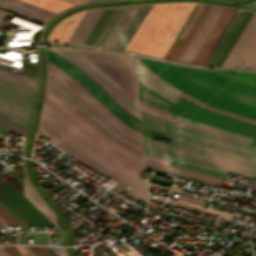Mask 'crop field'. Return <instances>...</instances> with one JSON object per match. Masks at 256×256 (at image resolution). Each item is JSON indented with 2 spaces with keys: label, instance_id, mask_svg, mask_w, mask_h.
<instances>
[{
  "label": "crop field",
  "instance_id": "obj_1",
  "mask_svg": "<svg viewBox=\"0 0 256 256\" xmlns=\"http://www.w3.org/2000/svg\"><path fill=\"white\" fill-rule=\"evenodd\" d=\"M142 112V111H141ZM143 127L159 130L172 135L171 145L143 137L144 152L147 155L164 159H178L230 172L250 178H256V154L236 150L186 135L174 133L171 127L195 132L214 139L250 147L248 144L196 130L166 121L142 112Z\"/></svg>",
  "mask_w": 256,
  "mask_h": 256
},
{
  "label": "crop field",
  "instance_id": "obj_2",
  "mask_svg": "<svg viewBox=\"0 0 256 256\" xmlns=\"http://www.w3.org/2000/svg\"><path fill=\"white\" fill-rule=\"evenodd\" d=\"M140 60L182 93L203 103L256 119L255 88L200 69Z\"/></svg>",
  "mask_w": 256,
  "mask_h": 256
},
{
  "label": "crop field",
  "instance_id": "obj_3",
  "mask_svg": "<svg viewBox=\"0 0 256 256\" xmlns=\"http://www.w3.org/2000/svg\"><path fill=\"white\" fill-rule=\"evenodd\" d=\"M196 3L148 4L135 6L112 48L163 58Z\"/></svg>",
  "mask_w": 256,
  "mask_h": 256
},
{
  "label": "crop field",
  "instance_id": "obj_4",
  "mask_svg": "<svg viewBox=\"0 0 256 256\" xmlns=\"http://www.w3.org/2000/svg\"><path fill=\"white\" fill-rule=\"evenodd\" d=\"M41 116L87 152L140 179L139 172L145 170L143 165L109 149L95 140L46 100L44 101Z\"/></svg>",
  "mask_w": 256,
  "mask_h": 256
},
{
  "label": "crop field",
  "instance_id": "obj_5",
  "mask_svg": "<svg viewBox=\"0 0 256 256\" xmlns=\"http://www.w3.org/2000/svg\"><path fill=\"white\" fill-rule=\"evenodd\" d=\"M106 79L125 99L138 107L137 78L131 58L108 52L68 49Z\"/></svg>",
  "mask_w": 256,
  "mask_h": 256
},
{
  "label": "crop field",
  "instance_id": "obj_6",
  "mask_svg": "<svg viewBox=\"0 0 256 256\" xmlns=\"http://www.w3.org/2000/svg\"><path fill=\"white\" fill-rule=\"evenodd\" d=\"M139 97L173 114L256 139V124L208 111L183 98L174 104L141 83Z\"/></svg>",
  "mask_w": 256,
  "mask_h": 256
},
{
  "label": "crop field",
  "instance_id": "obj_7",
  "mask_svg": "<svg viewBox=\"0 0 256 256\" xmlns=\"http://www.w3.org/2000/svg\"><path fill=\"white\" fill-rule=\"evenodd\" d=\"M115 8H98L87 9L77 12L59 22L56 27L50 33L47 43L63 44L67 43H81L88 45H95L96 41L100 37L104 28L108 24L112 15L116 11Z\"/></svg>",
  "mask_w": 256,
  "mask_h": 256
},
{
  "label": "crop field",
  "instance_id": "obj_8",
  "mask_svg": "<svg viewBox=\"0 0 256 256\" xmlns=\"http://www.w3.org/2000/svg\"><path fill=\"white\" fill-rule=\"evenodd\" d=\"M35 89L0 79V118L26 135Z\"/></svg>",
  "mask_w": 256,
  "mask_h": 256
},
{
  "label": "crop field",
  "instance_id": "obj_9",
  "mask_svg": "<svg viewBox=\"0 0 256 256\" xmlns=\"http://www.w3.org/2000/svg\"><path fill=\"white\" fill-rule=\"evenodd\" d=\"M48 62L59 67L73 77L76 81L82 84L96 99H98L104 106H106L112 113H114L121 121L128 126L139 130L141 120L134 117L125 111L122 107L116 104L112 98L100 88L88 75L82 70L74 66L62 56L48 50ZM107 102L108 104L106 105Z\"/></svg>",
  "mask_w": 256,
  "mask_h": 256
},
{
  "label": "crop field",
  "instance_id": "obj_10",
  "mask_svg": "<svg viewBox=\"0 0 256 256\" xmlns=\"http://www.w3.org/2000/svg\"><path fill=\"white\" fill-rule=\"evenodd\" d=\"M252 14L253 11L238 9L205 64H222Z\"/></svg>",
  "mask_w": 256,
  "mask_h": 256
},
{
  "label": "crop field",
  "instance_id": "obj_11",
  "mask_svg": "<svg viewBox=\"0 0 256 256\" xmlns=\"http://www.w3.org/2000/svg\"><path fill=\"white\" fill-rule=\"evenodd\" d=\"M255 51L256 12H254L222 66L246 67ZM241 62L244 64L242 65Z\"/></svg>",
  "mask_w": 256,
  "mask_h": 256
},
{
  "label": "crop field",
  "instance_id": "obj_12",
  "mask_svg": "<svg viewBox=\"0 0 256 256\" xmlns=\"http://www.w3.org/2000/svg\"><path fill=\"white\" fill-rule=\"evenodd\" d=\"M212 5L198 3L164 59L178 62Z\"/></svg>",
  "mask_w": 256,
  "mask_h": 256
},
{
  "label": "crop field",
  "instance_id": "obj_13",
  "mask_svg": "<svg viewBox=\"0 0 256 256\" xmlns=\"http://www.w3.org/2000/svg\"><path fill=\"white\" fill-rule=\"evenodd\" d=\"M47 83L54 87L57 91L63 94L67 99H69L73 104H75L79 109H81L85 114H87L91 119H93L97 124H99L108 133L119 139L120 141L142 151V145L129 139L112 126H110L106 121H104L99 115H97L91 108H89L84 102H82L76 95H74L65 86L59 83L51 75L48 74ZM92 120V121H93ZM143 152V151H142Z\"/></svg>",
  "mask_w": 256,
  "mask_h": 256
},
{
  "label": "crop field",
  "instance_id": "obj_14",
  "mask_svg": "<svg viewBox=\"0 0 256 256\" xmlns=\"http://www.w3.org/2000/svg\"><path fill=\"white\" fill-rule=\"evenodd\" d=\"M133 63L136 75L138 77L139 82L143 83L150 89L154 90L164 98L176 102L180 96L184 95L178 90L174 89L168 83H166L163 79H161L158 75L152 72L147 66H145L138 58L133 57ZM153 91V92H154ZM186 96V95H184ZM188 97V96H186ZM190 98V97H188ZM192 99V98H190ZM194 100V99H192ZM196 101V100H194ZM198 102V101H196ZM201 103V102H198ZM203 104V103H202Z\"/></svg>",
  "mask_w": 256,
  "mask_h": 256
},
{
  "label": "crop field",
  "instance_id": "obj_15",
  "mask_svg": "<svg viewBox=\"0 0 256 256\" xmlns=\"http://www.w3.org/2000/svg\"><path fill=\"white\" fill-rule=\"evenodd\" d=\"M224 8L225 7L213 5L200 29L196 33L195 37L193 38L192 42L190 43L189 47L181 58V62L191 63L199 48L203 44L204 40L208 36L209 32L213 28L214 24L218 20L219 16L223 12ZM204 35L206 36L204 37Z\"/></svg>",
  "mask_w": 256,
  "mask_h": 256
},
{
  "label": "crop field",
  "instance_id": "obj_16",
  "mask_svg": "<svg viewBox=\"0 0 256 256\" xmlns=\"http://www.w3.org/2000/svg\"><path fill=\"white\" fill-rule=\"evenodd\" d=\"M235 11L236 9L225 8L224 12L222 13L216 25L212 29L205 43L203 44L197 56L193 60L192 65H202L210 50L212 49L217 39L221 35L222 32L220 29L224 30V28L228 24L229 20L231 19Z\"/></svg>",
  "mask_w": 256,
  "mask_h": 256
},
{
  "label": "crop field",
  "instance_id": "obj_17",
  "mask_svg": "<svg viewBox=\"0 0 256 256\" xmlns=\"http://www.w3.org/2000/svg\"><path fill=\"white\" fill-rule=\"evenodd\" d=\"M48 68L56 72L58 75L66 79L71 85H73L82 95H84L92 104H94L100 111H102L108 118H110L113 122L127 130L132 135L136 136L137 138L141 139V134L138 131H135L122 123L114 114H112L107 108H105L99 101H97L83 86H81L78 82H76L73 78H71L68 74L64 71L60 70L59 68L53 66L52 64L48 63ZM120 127V128H121ZM123 129V130H124Z\"/></svg>",
  "mask_w": 256,
  "mask_h": 256
},
{
  "label": "crop field",
  "instance_id": "obj_18",
  "mask_svg": "<svg viewBox=\"0 0 256 256\" xmlns=\"http://www.w3.org/2000/svg\"><path fill=\"white\" fill-rule=\"evenodd\" d=\"M24 197L30 201L42 214H44L62 233L63 230L58 226V219L42 198L37 194L31 184L28 182L26 175L22 180Z\"/></svg>",
  "mask_w": 256,
  "mask_h": 256
},
{
  "label": "crop field",
  "instance_id": "obj_19",
  "mask_svg": "<svg viewBox=\"0 0 256 256\" xmlns=\"http://www.w3.org/2000/svg\"><path fill=\"white\" fill-rule=\"evenodd\" d=\"M62 56H64L66 59L71 61L73 64H75L77 67L83 69L99 86H101L116 102H118L119 105H121L124 109H126L128 112L131 114L135 115L138 117V113L135 109H133L131 106H129L126 102H124L117 94H115L107 85H105L100 79H98L90 70L85 68L82 64H80L77 60L74 58L70 57L66 53H64L62 50L59 48H49Z\"/></svg>",
  "mask_w": 256,
  "mask_h": 256
},
{
  "label": "crop field",
  "instance_id": "obj_20",
  "mask_svg": "<svg viewBox=\"0 0 256 256\" xmlns=\"http://www.w3.org/2000/svg\"><path fill=\"white\" fill-rule=\"evenodd\" d=\"M146 164L150 165L152 167H156V168H160V169H164V170L173 172V173L178 174V175L193 178V179H196V180H200V181L211 183V184L218 185V186H220V184L222 182V179H218V178L206 176V175H203V174L191 172V171H188V170H184V169H180V168H176V167L156 163V162H153V161H150V160H147V159H146Z\"/></svg>",
  "mask_w": 256,
  "mask_h": 256
},
{
  "label": "crop field",
  "instance_id": "obj_21",
  "mask_svg": "<svg viewBox=\"0 0 256 256\" xmlns=\"http://www.w3.org/2000/svg\"><path fill=\"white\" fill-rule=\"evenodd\" d=\"M46 89L49 90L51 93H53L56 97H58L61 101H63L66 105H68L72 110H74L77 114H79L82 118H84L88 123H90L93 127H95L97 130H99L101 133H103L105 136L116 142L117 144L132 150L140 155L143 156V153L123 144L110 134H108L106 131H104L100 126H98L94 121H92L87 115H85L81 110H79L75 105H73L69 100H67L63 95H61L59 92H57L54 88H52L50 85L47 84Z\"/></svg>",
  "mask_w": 256,
  "mask_h": 256
},
{
  "label": "crop field",
  "instance_id": "obj_22",
  "mask_svg": "<svg viewBox=\"0 0 256 256\" xmlns=\"http://www.w3.org/2000/svg\"><path fill=\"white\" fill-rule=\"evenodd\" d=\"M128 7H118L117 11L113 15L112 19L110 20L109 24L105 28L104 32L102 33L101 37L97 41L96 45L106 46L107 42L109 41L110 37L114 33L115 29L117 28L118 24L120 23L121 19L125 15Z\"/></svg>",
  "mask_w": 256,
  "mask_h": 256
},
{
  "label": "crop field",
  "instance_id": "obj_23",
  "mask_svg": "<svg viewBox=\"0 0 256 256\" xmlns=\"http://www.w3.org/2000/svg\"><path fill=\"white\" fill-rule=\"evenodd\" d=\"M0 7L11 12L17 13L19 15L25 16L27 18L33 19L35 21L41 22L43 24H45L46 21L50 18L48 16L42 15L40 13L34 12L32 10L26 9L24 7L18 6L5 0H0Z\"/></svg>",
  "mask_w": 256,
  "mask_h": 256
},
{
  "label": "crop field",
  "instance_id": "obj_24",
  "mask_svg": "<svg viewBox=\"0 0 256 256\" xmlns=\"http://www.w3.org/2000/svg\"><path fill=\"white\" fill-rule=\"evenodd\" d=\"M40 122L43 123L47 128H49V129H50L52 132H54L56 135H59V136H60L62 139H64L66 142H68L69 144H71L72 146H74L76 149H78L79 151H81L82 153H84L86 156H88L89 158L93 159L94 161H96V162H98V163H100V164H102V165H104V166H106V167H108V168H110V169H112V170H114V171H116V172H118V173H120V174H122V175H124V176H126V177H128V178H130V179H132V180H134V181H136V182H139V183L144 184V185L147 186V182H146V181H142V180L136 179V178H134V177H132V176H130V175H128V174H126V173H124V172H122V171H120V170H118V169H116V168H114V167H112V166L106 164L105 162H103V161H101L100 159H98V158L92 156L91 154L87 153V152L84 151L82 148H80L78 145H76L75 143H73L72 141H70L69 139H67L64 135H62V134H61L60 132H58L56 129H54V128H53L48 122H46L42 117L40 118Z\"/></svg>",
  "mask_w": 256,
  "mask_h": 256
},
{
  "label": "crop field",
  "instance_id": "obj_25",
  "mask_svg": "<svg viewBox=\"0 0 256 256\" xmlns=\"http://www.w3.org/2000/svg\"><path fill=\"white\" fill-rule=\"evenodd\" d=\"M29 2L31 4L37 5L39 7L45 8L47 10L53 11L55 13L66 9L70 6H74L72 4L66 3L61 0H23Z\"/></svg>",
  "mask_w": 256,
  "mask_h": 256
},
{
  "label": "crop field",
  "instance_id": "obj_26",
  "mask_svg": "<svg viewBox=\"0 0 256 256\" xmlns=\"http://www.w3.org/2000/svg\"><path fill=\"white\" fill-rule=\"evenodd\" d=\"M214 71L222 73L229 77L256 85V73L254 72L240 71L238 74H236L237 71H217V70H214Z\"/></svg>",
  "mask_w": 256,
  "mask_h": 256
},
{
  "label": "crop field",
  "instance_id": "obj_27",
  "mask_svg": "<svg viewBox=\"0 0 256 256\" xmlns=\"http://www.w3.org/2000/svg\"><path fill=\"white\" fill-rule=\"evenodd\" d=\"M173 131L178 132V133H182V134H186V135H190V136H194V137H197V138H201V139H204V140H207V141H211V142H214V143L222 144V145H225V146L233 147V148H236V149H240V150L256 153L255 150H251V149L240 147V146H237V145H234V144H230V143L214 140V139H211V138H208V137H204V136H201V135H198V134H195V133L186 132V131H180V130H174V129H173Z\"/></svg>",
  "mask_w": 256,
  "mask_h": 256
},
{
  "label": "crop field",
  "instance_id": "obj_28",
  "mask_svg": "<svg viewBox=\"0 0 256 256\" xmlns=\"http://www.w3.org/2000/svg\"><path fill=\"white\" fill-rule=\"evenodd\" d=\"M171 117H172V118L179 119V120H182V121H186V122H189V123H192V124H196V125H199V126H202V127H206V128L212 129V130H216V131H219V132H222V133H226V134H229V135H232V136H236V137H239V138H242V139H246V140L252 141V138H248V137L241 136V135H238V134H235V133H231V132H228V131H224V130H221V129H217V128H214V127H211V126H207V125H204V124H200V123L191 121V120H189V119H186V118H183V117H180V116H177V115H173V114H172Z\"/></svg>",
  "mask_w": 256,
  "mask_h": 256
},
{
  "label": "crop field",
  "instance_id": "obj_29",
  "mask_svg": "<svg viewBox=\"0 0 256 256\" xmlns=\"http://www.w3.org/2000/svg\"><path fill=\"white\" fill-rule=\"evenodd\" d=\"M167 203L172 204V205H176V206H180V207H184V208H188V209H192V210H195V211L203 212V213H206V214L214 215V216L219 215V216H223V217L230 218V219L232 217L230 215L200 209V208H197V207H193V206H190V205L182 204V203L171 201V200H168Z\"/></svg>",
  "mask_w": 256,
  "mask_h": 256
},
{
  "label": "crop field",
  "instance_id": "obj_30",
  "mask_svg": "<svg viewBox=\"0 0 256 256\" xmlns=\"http://www.w3.org/2000/svg\"><path fill=\"white\" fill-rule=\"evenodd\" d=\"M62 49V48H61ZM63 51H65L67 54H69L70 56L74 57L75 59H77L80 63H82L85 67H87L88 69H90L98 78H100L105 84H107L114 92H116L124 101H126L107 81H105L99 74H97L91 67H89L86 63H84L82 60H80L79 58H77L75 55H73L72 53H70L68 50L66 49H62ZM129 105H131L133 108H135L137 111H139V109H137L136 107H134L132 104H130L128 101H126ZM140 112V111H139Z\"/></svg>",
  "mask_w": 256,
  "mask_h": 256
},
{
  "label": "crop field",
  "instance_id": "obj_31",
  "mask_svg": "<svg viewBox=\"0 0 256 256\" xmlns=\"http://www.w3.org/2000/svg\"><path fill=\"white\" fill-rule=\"evenodd\" d=\"M0 217L9 225L22 226L7 210L0 205Z\"/></svg>",
  "mask_w": 256,
  "mask_h": 256
},
{
  "label": "crop field",
  "instance_id": "obj_32",
  "mask_svg": "<svg viewBox=\"0 0 256 256\" xmlns=\"http://www.w3.org/2000/svg\"><path fill=\"white\" fill-rule=\"evenodd\" d=\"M172 121L176 122V123H180V124L186 125V126H190V127L201 129V130H205V131H208V132H211V133H214V134H218V135H221V136H224V137L236 139V140H239V141H242V142L250 144V141H246V140H242V139H239V138H235V137H232V136H229V135H225V134H222V133H219V132H215V131H212V130H209V129H205V128H202V127H199V126H195V125H192V124H189V123H185V122H182V121H179V120L172 119Z\"/></svg>",
  "mask_w": 256,
  "mask_h": 256
},
{
  "label": "crop field",
  "instance_id": "obj_33",
  "mask_svg": "<svg viewBox=\"0 0 256 256\" xmlns=\"http://www.w3.org/2000/svg\"><path fill=\"white\" fill-rule=\"evenodd\" d=\"M171 164L178 165V166H183V167H187V168H191V169H195V170H199V171H203V172H207V173H211V174H215V175H219V176L225 177V174H221V173H218V172H214V171L207 170V169H204V168H201V167H197V166H194V165H190V164L173 162V161H171Z\"/></svg>",
  "mask_w": 256,
  "mask_h": 256
},
{
  "label": "crop field",
  "instance_id": "obj_34",
  "mask_svg": "<svg viewBox=\"0 0 256 256\" xmlns=\"http://www.w3.org/2000/svg\"><path fill=\"white\" fill-rule=\"evenodd\" d=\"M140 108L142 111H145L147 113H150V114H153V115H156V116H159V117H162V118H165L167 120H170V116L165 114V113H162L160 111H157V110H154L152 108H149L143 104L140 103ZM171 121V120H170Z\"/></svg>",
  "mask_w": 256,
  "mask_h": 256
},
{
  "label": "crop field",
  "instance_id": "obj_35",
  "mask_svg": "<svg viewBox=\"0 0 256 256\" xmlns=\"http://www.w3.org/2000/svg\"><path fill=\"white\" fill-rule=\"evenodd\" d=\"M178 200L194 203L201 206H203L205 203V200H201V199H197V198H193V197H189L181 194L179 195Z\"/></svg>",
  "mask_w": 256,
  "mask_h": 256
},
{
  "label": "crop field",
  "instance_id": "obj_36",
  "mask_svg": "<svg viewBox=\"0 0 256 256\" xmlns=\"http://www.w3.org/2000/svg\"><path fill=\"white\" fill-rule=\"evenodd\" d=\"M134 8V6H130L129 10L127 11L126 15L124 16L123 20L121 21L120 25L118 26V28L116 29L115 33L113 34L112 38L110 39L109 43L107 44L106 48H109V46L111 45L112 41L114 40V38L116 37L117 33L119 32V30L121 29L122 25L124 24V22L126 21L127 17L129 16V14L131 13L132 9Z\"/></svg>",
  "mask_w": 256,
  "mask_h": 256
},
{
  "label": "crop field",
  "instance_id": "obj_37",
  "mask_svg": "<svg viewBox=\"0 0 256 256\" xmlns=\"http://www.w3.org/2000/svg\"><path fill=\"white\" fill-rule=\"evenodd\" d=\"M142 132L147 133V134H151V135H155V136L160 137V138H166V139H169V140L171 139L169 134H164L162 132L147 129V128H143V127H142Z\"/></svg>",
  "mask_w": 256,
  "mask_h": 256
},
{
  "label": "crop field",
  "instance_id": "obj_38",
  "mask_svg": "<svg viewBox=\"0 0 256 256\" xmlns=\"http://www.w3.org/2000/svg\"><path fill=\"white\" fill-rule=\"evenodd\" d=\"M40 256H52L44 247L30 246Z\"/></svg>",
  "mask_w": 256,
  "mask_h": 256
},
{
  "label": "crop field",
  "instance_id": "obj_39",
  "mask_svg": "<svg viewBox=\"0 0 256 256\" xmlns=\"http://www.w3.org/2000/svg\"><path fill=\"white\" fill-rule=\"evenodd\" d=\"M185 99H187V100H189V101H191V102H193V103H195V104H197V105H199V106H202V107H204V108H206V109H208V110L215 111V112H218V113H221V114H225V115H228V116H232V117H235V118H239V119H242V120H246V121H249V122H252V123H256V122L251 121V120H247V119H244V118H240V117H237V116H233V115H230V114H227V113H224V112H221V111L212 109V108H210V107H207V106L198 104V103H196V102H194V101H192V100H190V99H188V98H185Z\"/></svg>",
  "mask_w": 256,
  "mask_h": 256
},
{
  "label": "crop field",
  "instance_id": "obj_40",
  "mask_svg": "<svg viewBox=\"0 0 256 256\" xmlns=\"http://www.w3.org/2000/svg\"><path fill=\"white\" fill-rule=\"evenodd\" d=\"M10 256H20L11 246H1Z\"/></svg>",
  "mask_w": 256,
  "mask_h": 256
},
{
  "label": "crop field",
  "instance_id": "obj_41",
  "mask_svg": "<svg viewBox=\"0 0 256 256\" xmlns=\"http://www.w3.org/2000/svg\"><path fill=\"white\" fill-rule=\"evenodd\" d=\"M112 188H114V189H116V190H119V191H121V192H124V193H126V194H129V195H131V196H133V197H135V198H137V199H140V200H143V201H146L147 202V200L146 199H144V198H142V197H139V196H137V195H135V194H132V193H130V192H128V191H126V190H123V189H121V188H119V187H112Z\"/></svg>",
  "mask_w": 256,
  "mask_h": 256
},
{
  "label": "crop field",
  "instance_id": "obj_42",
  "mask_svg": "<svg viewBox=\"0 0 256 256\" xmlns=\"http://www.w3.org/2000/svg\"><path fill=\"white\" fill-rule=\"evenodd\" d=\"M0 125L5 128L6 130H8L9 132H13V133H18L16 130H14L12 127H10L8 124H6L4 121H2L0 119ZM20 134V133H18Z\"/></svg>",
  "mask_w": 256,
  "mask_h": 256
},
{
  "label": "crop field",
  "instance_id": "obj_43",
  "mask_svg": "<svg viewBox=\"0 0 256 256\" xmlns=\"http://www.w3.org/2000/svg\"><path fill=\"white\" fill-rule=\"evenodd\" d=\"M145 157L147 159H150V160H153V161H156V162H160V163H164V164L170 165V161H168V160L159 159V158H155V157H151V156H147V155H145Z\"/></svg>",
  "mask_w": 256,
  "mask_h": 256
},
{
  "label": "crop field",
  "instance_id": "obj_44",
  "mask_svg": "<svg viewBox=\"0 0 256 256\" xmlns=\"http://www.w3.org/2000/svg\"><path fill=\"white\" fill-rule=\"evenodd\" d=\"M247 67H249V68H256V52L253 55V57L250 60V62L248 63Z\"/></svg>",
  "mask_w": 256,
  "mask_h": 256
},
{
  "label": "crop field",
  "instance_id": "obj_45",
  "mask_svg": "<svg viewBox=\"0 0 256 256\" xmlns=\"http://www.w3.org/2000/svg\"><path fill=\"white\" fill-rule=\"evenodd\" d=\"M139 102H141V103H143V104H145V105H147V106H149V107H152V108H155V109H157V110H160V111H162V112H165V113H167V114H171L170 112H167V111H164V110H162V109H160V108H158V107H155V106H153V105H151V104H149V103H147V102H145V101H143V100H141V99H139Z\"/></svg>",
  "mask_w": 256,
  "mask_h": 256
},
{
  "label": "crop field",
  "instance_id": "obj_46",
  "mask_svg": "<svg viewBox=\"0 0 256 256\" xmlns=\"http://www.w3.org/2000/svg\"><path fill=\"white\" fill-rule=\"evenodd\" d=\"M60 256H66V251L63 248L52 247Z\"/></svg>",
  "mask_w": 256,
  "mask_h": 256
},
{
  "label": "crop field",
  "instance_id": "obj_47",
  "mask_svg": "<svg viewBox=\"0 0 256 256\" xmlns=\"http://www.w3.org/2000/svg\"><path fill=\"white\" fill-rule=\"evenodd\" d=\"M5 15H6V13H3V12L0 11V22L2 21V18H3ZM6 26H7L6 24L0 23V30H4Z\"/></svg>",
  "mask_w": 256,
  "mask_h": 256
},
{
  "label": "crop field",
  "instance_id": "obj_48",
  "mask_svg": "<svg viewBox=\"0 0 256 256\" xmlns=\"http://www.w3.org/2000/svg\"><path fill=\"white\" fill-rule=\"evenodd\" d=\"M0 204L4 207V208H6L1 202H0ZM16 219H18L23 225H26L23 221H21L14 213H12L8 208H6Z\"/></svg>",
  "mask_w": 256,
  "mask_h": 256
},
{
  "label": "crop field",
  "instance_id": "obj_49",
  "mask_svg": "<svg viewBox=\"0 0 256 256\" xmlns=\"http://www.w3.org/2000/svg\"><path fill=\"white\" fill-rule=\"evenodd\" d=\"M67 1H70V2L75 3V4L87 2L86 0H67Z\"/></svg>",
  "mask_w": 256,
  "mask_h": 256
},
{
  "label": "crop field",
  "instance_id": "obj_50",
  "mask_svg": "<svg viewBox=\"0 0 256 256\" xmlns=\"http://www.w3.org/2000/svg\"><path fill=\"white\" fill-rule=\"evenodd\" d=\"M26 256H31L22 246H17Z\"/></svg>",
  "mask_w": 256,
  "mask_h": 256
},
{
  "label": "crop field",
  "instance_id": "obj_51",
  "mask_svg": "<svg viewBox=\"0 0 256 256\" xmlns=\"http://www.w3.org/2000/svg\"><path fill=\"white\" fill-rule=\"evenodd\" d=\"M149 185H150V186H154V187H158V188H162V189L169 190V188H166V187H163V186H159V185H156V184H153V183H150V182H149Z\"/></svg>",
  "mask_w": 256,
  "mask_h": 256
},
{
  "label": "crop field",
  "instance_id": "obj_52",
  "mask_svg": "<svg viewBox=\"0 0 256 256\" xmlns=\"http://www.w3.org/2000/svg\"><path fill=\"white\" fill-rule=\"evenodd\" d=\"M0 256H9V255L0 247Z\"/></svg>",
  "mask_w": 256,
  "mask_h": 256
},
{
  "label": "crop field",
  "instance_id": "obj_53",
  "mask_svg": "<svg viewBox=\"0 0 256 256\" xmlns=\"http://www.w3.org/2000/svg\"><path fill=\"white\" fill-rule=\"evenodd\" d=\"M171 160H173V159H171ZM174 161H177V160H174ZM180 162H182V161H180ZM186 163H188V162H186ZM190 164H193V163H190ZM194 165H197V164H194ZM197 166H200V165H197ZM201 167H204V166H201ZM204 168H207V167H204ZM208 169H211V168H208ZM211 170H214V169H211ZM214 171H218V170H214ZM218 172H221V171H218ZM221 173H225V172H221Z\"/></svg>",
  "mask_w": 256,
  "mask_h": 256
},
{
  "label": "crop field",
  "instance_id": "obj_54",
  "mask_svg": "<svg viewBox=\"0 0 256 256\" xmlns=\"http://www.w3.org/2000/svg\"><path fill=\"white\" fill-rule=\"evenodd\" d=\"M206 105V104H205ZM209 106V105H208ZM212 107V106H211ZM215 108V107H214ZM216 109H218V108H216ZM219 110H221V109H219ZM222 111H224V110H222ZM225 112H227V111H225ZM228 113H231V112H228ZM231 114H234V113H231ZM234 115H237V114H234ZM238 116H241V115H238ZM241 117H244V116H241ZM244 118H247V117H244ZM248 119H251V118H248ZM251 120H254V119H251ZM256 121V120H255Z\"/></svg>",
  "mask_w": 256,
  "mask_h": 256
},
{
  "label": "crop field",
  "instance_id": "obj_55",
  "mask_svg": "<svg viewBox=\"0 0 256 256\" xmlns=\"http://www.w3.org/2000/svg\"><path fill=\"white\" fill-rule=\"evenodd\" d=\"M155 200H158V201H164V198H161V197H158V196H156V198H155Z\"/></svg>",
  "mask_w": 256,
  "mask_h": 256
},
{
  "label": "crop field",
  "instance_id": "obj_56",
  "mask_svg": "<svg viewBox=\"0 0 256 256\" xmlns=\"http://www.w3.org/2000/svg\"><path fill=\"white\" fill-rule=\"evenodd\" d=\"M32 256H35L28 248H26L25 246H23Z\"/></svg>",
  "mask_w": 256,
  "mask_h": 256
},
{
  "label": "crop field",
  "instance_id": "obj_57",
  "mask_svg": "<svg viewBox=\"0 0 256 256\" xmlns=\"http://www.w3.org/2000/svg\"><path fill=\"white\" fill-rule=\"evenodd\" d=\"M250 4H252L251 6H255L256 7V1H254V2H252ZM250 4H247V5H250Z\"/></svg>",
  "mask_w": 256,
  "mask_h": 256
},
{
  "label": "crop field",
  "instance_id": "obj_58",
  "mask_svg": "<svg viewBox=\"0 0 256 256\" xmlns=\"http://www.w3.org/2000/svg\"><path fill=\"white\" fill-rule=\"evenodd\" d=\"M252 145H256V140L254 139L252 142H251Z\"/></svg>",
  "mask_w": 256,
  "mask_h": 256
},
{
  "label": "crop field",
  "instance_id": "obj_59",
  "mask_svg": "<svg viewBox=\"0 0 256 256\" xmlns=\"http://www.w3.org/2000/svg\"><path fill=\"white\" fill-rule=\"evenodd\" d=\"M0 243H4V242L0 239Z\"/></svg>",
  "mask_w": 256,
  "mask_h": 256
},
{
  "label": "crop field",
  "instance_id": "obj_60",
  "mask_svg": "<svg viewBox=\"0 0 256 256\" xmlns=\"http://www.w3.org/2000/svg\"><path fill=\"white\" fill-rule=\"evenodd\" d=\"M3 228L1 225H0V229Z\"/></svg>",
  "mask_w": 256,
  "mask_h": 256
},
{
  "label": "crop field",
  "instance_id": "obj_61",
  "mask_svg": "<svg viewBox=\"0 0 256 256\" xmlns=\"http://www.w3.org/2000/svg\"><path fill=\"white\" fill-rule=\"evenodd\" d=\"M1 225H3L2 223H0Z\"/></svg>",
  "mask_w": 256,
  "mask_h": 256
},
{
  "label": "crop field",
  "instance_id": "obj_62",
  "mask_svg": "<svg viewBox=\"0 0 256 256\" xmlns=\"http://www.w3.org/2000/svg\"><path fill=\"white\" fill-rule=\"evenodd\" d=\"M88 1H90V0H88Z\"/></svg>",
  "mask_w": 256,
  "mask_h": 256
}]
</instances>
